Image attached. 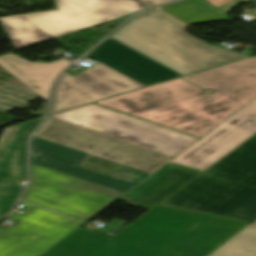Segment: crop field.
<instances>
[{"instance_id":"4","label":"crop field","mask_w":256,"mask_h":256,"mask_svg":"<svg viewBox=\"0 0 256 256\" xmlns=\"http://www.w3.org/2000/svg\"><path fill=\"white\" fill-rule=\"evenodd\" d=\"M202 218L157 205L111 239L78 229L41 256H156Z\"/></svg>"},{"instance_id":"6","label":"crop field","mask_w":256,"mask_h":256,"mask_svg":"<svg viewBox=\"0 0 256 256\" xmlns=\"http://www.w3.org/2000/svg\"><path fill=\"white\" fill-rule=\"evenodd\" d=\"M58 10L0 18L17 49L147 8L139 0H55Z\"/></svg>"},{"instance_id":"14","label":"crop field","mask_w":256,"mask_h":256,"mask_svg":"<svg viewBox=\"0 0 256 256\" xmlns=\"http://www.w3.org/2000/svg\"><path fill=\"white\" fill-rule=\"evenodd\" d=\"M245 222L211 215L166 249L161 256H206Z\"/></svg>"},{"instance_id":"23","label":"crop field","mask_w":256,"mask_h":256,"mask_svg":"<svg viewBox=\"0 0 256 256\" xmlns=\"http://www.w3.org/2000/svg\"><path fill=\"white\" fill-rule=\"evenodd\" d=\"M256 223V222H255Z\"/></svg>"},{"instance_id":"11","label":"crop field","mask_w":256,"mask_h":256,"mask_svg":"<svg viewBox=\"0 0 256 256\" xmlns=\"http://www.w3.org/2000/svg\"><path fill=\"white\" fill-rule=\"evenodd\" d=\"M256 98L179 154L172 163L205 170L256 132Z\"/></svg>"},{"instance_id":"15","label":"crop field","mask_w":256,"mask_h":256,"mask_svg":"<svg viewBox=\"0 0 256 256\" xmlns=\"http://www.w3.org/2000/svg\"><path fill=\"white\" fill-rule=\"evenodd\" d=\"M70 63L65 59L51 63H30L12 53L0 57L1 67L33 89L46 101H48L54 80Z\"/></svg>"},{"instance_id":"17","label":"crop field","mask_w":256,"mask_h":256,"mask_svg":"<svg viewBox=\"0 0 256 256\" xmlns=\"http://www.w3.org/2000/svg\"><path fill=\"white\" fill-rule=\"evenodd\" d=\"M209 256H256V224H248Z\"/></svg>"},{"instance_id":"16","label":"crop field","mask_w":256,"mask_h":256,"mask_svg":"<svg viewBox=\"0 0 256 256\" xmlns=\"http://www.w3.org/2000/svg\"><path fill=\"white\" fill-rule=\"evenodd\" d=\"M161 9L187 24L228 20L205 0H185Z\"/></svg>"},{"instance_id":"12","label":"crop field","mask_w":256,"mask_h":256,"mask_svg":"<svg viewBox=\"0 0 256 256\" xmlns=\"http://www.w3.org/2000/svg\"><path fill=\"white\" fill-rule=\"evenodd\" d=\"M30 162L126 193L150 174L123 166L106 175L77 167L87 154L32 137Z\"/></svg>"},{"instance_id":"7","label":"crop field","mask_w":256,"mask_h":256,"mask_svg":"<svg viewBox=\"0 0 256 256\" xmlns=\"http://www.w3.org/2000/svg\"><path fill=\"white\" fill-rule=\"evenodd\" d=\"M49 117L160 153L180 138L194 142L200 139L94 103Z\"/></svg>"},{"instance_id":"21","label":"crop field","mask_w":256,"mask_h":256,"mask_svg":"<svg viewBox=\"0 0 256 256\" xmlns=\"http://www.w3.org/2000/svg\"><path fill=\"white\" fill-rule=\"evenodd\" d=\"M199 214H201V213H199ZM201 215L204 217L202 220H204L206 217L209 216V215H205V214H201ZM202 220H201V221H202ZM201 221H199L197 224H199ZM197 224H196V225H197ZM196 225H194L193 227H191L188 231H190V230H191L192 228H194ZM188 231H187V232H188ZM187 232H186V233H187ZM186 233H185V234H186ZM185 234H184V235H185ZM181 237H182V236H181ZM181 237H180V238H181ZM171 246H172V245H171ZM167 249H168V248H167ZM164 251H165V250H164ZM164 251L161 252L158 256H160L161 254H163Z\"/></svg>"},{"instance_id":"13","label":"crop field","mask_w":256,"mask_h":256,"mask_svg":"<svg viewBox=\"0 0 256 256\" xmlns=\"http://www.w3.org/2000/svg\"><path fill=\"white\" fill-rule=\"evenodd\" d=\"M42 118L4 129L0 137V219L10 212L26 179L27 138Z\"/></svg>"},{"instance_id":"2","label":"crop field","mask_w":256,"mask_h":256,"mask_svg":"<svg viewBox=\"0 0 256 256\" xmlns=\"http://www.w3.org/2000/svg\"><path fill=\"white\" fill-rule=\"evenodd\" d=\"M119 200L255 222L256 133L203 172L168 162Z\"/></svg>"},{"instance_id":"3","label":"crop field","mask_w":256,"mask_h":256,"mask_svg":"<svg viewBox=\"0 0 256 256\" xmlns=\"http://www.w3.org/2000/svg\"><path fill=\"white\" fill-rule=\"evenodd\" d=\"M87 56L98 62L60 78L50 114L181 76L110 37Z\"/></svg>"},{"instance_id":"19","label":"crop field","mask_w":256,"mask_h":256,"mask_svg":"<svg viewBox=\"0 0 256 256\" xmlns=\"http://www.w3.org/2000/svg\"><path fill=\"white\" fill-rule=\"evenodd\" d=\"M194 142L186 141L180 139L178 142H176L172 147H170L167 151H165L163 154L175 157L182 151H184L186 148L191 146Z\"/></svg>"},{"instance_id":"5","label":"crop field","mask_w":256,"mask_h":256,"mask_svg":"<svg viewBox=\"0 0 256 256\" xmlns=\"http://www.w3.org/2000/svg\"><path fill=\"white\" fill-rule=\"evenodd\" d=\"M185 28L156 9L135 17L112 37L184 75L247 57L208 45Z\"/></svg>"},{"instance_id":"18","label":"crop field","mask_w":256,"mask_h":256,"mask_svg":"<svg viewBox=\"0 0 256 256\" xmlns=\"http://www.w3.org/2000/svg\"><path fill=\"white\" fill-rule=\"evenodd\" d=\"M212 6L216 7L224 15L229 12L234 6L241 4L240 0H206Z\"/></svg>"},{"instance_id":"20","label":"crop field","mask_w":256,"mask_h":256,"mask_svg":"<svg viewBox=\"0 0 256 256\" xmlns=\"http://www.w3.org/2000/svg\"><path fill=\"white\" fill-rule=\"evenodd\" d=\"M144 1L146 3H148L149 5H151V6H155V5L165 3V2H168V1H171V0H144Z\"/></svg>"},{"instance_id":"10","label":"crop field","mask_w":256,"mask_h":256,"mask_svg":"<svg viewBox=\"0 0 256 256\" xmlns=\"http://www.w3.org/2000/svg\"><path fill=\"white\" fill-rule=\"evenodd\" d=\"M34 137L150 174L168 160L166 157L49 120H46Z\"/></svg>"},{"instance_id":"1","label":"crop field","mask_w":256,"mask_h":256,"mask_svg":"<svg viewBox=\"0 0 256 256\" xmlns=\"http://www.w3.org/2000/svg\"><path fill=\"white\" fill-rule=\"evenodd\" d=\"M98 102L134 116L204 136L256 97V57Z\"/></svg>"},{"instance_id":"9","label":"crop field","mask_w":256,"mask_h":256,"mask_svg":"<svg viewBox=\"0 0 256 256\" xmlns=\"http://www.w3.org/2000/svg\"><path fill=\"white\" fill-rule=\"evenodd\" d=\"M20 204L25 205V213L7 219L21 225L0 228V256H40L84 224L27 202Z\"/></svg>"},{"instance_id":"8","label":"crop field","mask_w":256,"mask_h":256,"mask_svg":"<svg viewBox=\"0 0 256 256\" xmlns=\"http://www.w3.org/2000/svg\"><path fill=\"white\" fill-rule=\"evenodd\" d=\"M31 183L21 199L87 222L115 198L87 189V181L31 164Z\"/></svg>"},{"instance_id":"22","label":"crop field","mask_w":256,"mask_h":256,"mask_svg":"<svg viewBox=\"0 0 256 256\" xmlns=\"http://www.w3.org/2000/svg\"><path fill=\"white\" fill-rule=\"evenodd\" d=\"M256 1V0H255Z\"/></svg>"}]
</instances>
